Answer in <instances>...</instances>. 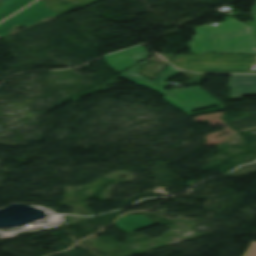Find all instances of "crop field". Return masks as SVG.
<instances>
[{
  "instance_id": "1",
  "label": "crop field",
  "mask_w": 256,
  "mask_h": 256,
  "mask_svg": "<svg viewBox=\"0 0 256 256\" xmlns=\"http://www.w3.org/2000/svg\"><path fill=\"white\" fill-rule=\"evenodd\" d=\"M145 63H147L146 60L122 72L119 76L139 86H147L163 94V98L166 102H168L169 104L173 105L174 107L178 108L179 110L185 112L190 116L226 109L225 106L219 100H217L215 97H213L211 94H209L201 87L172 89L170 91H165L164 88L167 87L165 80L180 73L179 70L175 69L173 66L170 65L164 68L165 70L157 75L158 80L152 82L139 75L140 66ZM216 104H218L220 108L191 113V111L193 110L201 109Z\"/></svg>"
},
{
  "instance_id": "2",
  "label": "crop field",
  "mask_w": 256,
  "mask_h": 256,
  "mask_svg": "<svg viewBox=\"0 0 256 256\" xmlns=\"http://www.w3.org/2000/svg\"><path fill=\"white\" fill-rule=\"evenodd\" d=\"M250 13L254 17L255 23H250L249 26L229 20L215 26H201L195 29L194 41L188 42L191 53H256V37H254V43L250 36V34L256 35V2ZM238 31L241 33L243 52H241L240 48ZM245 32H247V37H245ZM234 44H236L237 52H235ZM228 45H230V51H228ZM195 46L198 49L197 53ZM248 46L249 50H247Z\"/></svg>"
},
{
  "instance_id": "3",
  "label": "crop field",
  "mask_w": 256,
  "mask_h": 256,
  "mask_svg": "<svg viewBox=\"0 0 256 256\" xmlns=\"http://www.w3.org/2000/svg\"><path fill=\"white\" fill-rule=\"evenodd\" d=\"M173 64L199 73H256L250 71L256 64V55H176Z\"/></svg>"
},
{
  "instance_id": "4",
  "label": "crop field",
  "mask_w": 256,
  "mask_h": 256,
  "mask_svg": "<svg viewBox=\"0 0 256 256\" xmlns=\"http://www.w3.org/2000/svg\"><path fill=\"white\" fill-rule=\"evenodd\" d=\"M59 14L46 8V3L43 0L30 5L17 15L5 20L0 24V38L11 34L14 26L25 27L38 23L39 21L57 16Z\"/></svg>"
},
{
  "instance_id": "5",
  "label": "crop field",
  "mask_w": 256,
  "mask_h": 256,
  "mask_svg": "<svg viewBox=\"0 0 256 256\" xmlns=\"http://www.w3.org/2000/svg\"><path fill=\"white\" fill-rule=\"evenodd\" d=\"M228 86L232 87L228 99L256 95V75H231Z\"/></svg>"
},
{
  "instance_id": "6",
  "label": "crop field",
  "mask_w": 256,
  "mask_h": 256,
  "mask_svg": "<svg viewBox=\"0 0 256 256\" xmlns=\"http://www.w3.org/2000/svg\"><path fill=\"white\" fill-rule=\"evenodd\" d=\"M115 225L117 228L127 233L156 225V223L142 215H128L119 218Z\"/></svg>"
},
{
  "instance_id": "7",
  "label": "crop field",
  "mask_w": 256,
  "mask_h": 256,
  "mask_svg": "<svg viewBox=\"0 0 256 256\" xmlns=\"http://www.w3.org/2000/svg\"><path fill=\"white\" fill-rule=\"evenodd\" d=\"M34 0H3L0 4V21Z\"/></svg>"
},
{
  "instance_id": "8",
  "label": "crop field",
  "mask_w": 256,
  "mask_h": 256,
  "mask_svg": "<svg viewBox=\"0 0 256 256\" xmlns=\"http://www.w3.org/2000/svg\"><path fill=\"white\" fill-rule=\"evenodd\" d=\"M119 54H121V55H119ZM115 55H119V56L110 58V57L115 56ZM122 56H124V57H122ZM119 57H122V58L117 59V58H119ZM105 59H106L108 65H109L111 68H113L115 71H121V70L127 69V68H129V67H131V66H133V65L138 64V63L135 62L133 59H131L130 57L126 56L125 54H123V53H121V52L115 53V54H112V55H109V56H105ZM111 59H113L114 61H110ZM122 59H126V60L123 61V62H121L120 60H122ZM116 61H119V62L113 63V62H116ZM127 61L130 62V63H128V64H124V65H126L127 67L120 68V69H116V68H118V67L124 66V65H120V66H116V65H119V64L124 63V62H127ZM111 63H113V64H111ZM114 66H116V67H114Z\"/></svg>"
},
{
  "instance_id": "9",
  "label": "crop field",
  "mask_w": 256,
  "mask_h": 256,
  "mask_svg": "<svg viewBox=\"0 0 256 256\" xmlns=\"http://www.w3.org/2000/svg\"><path fill=\"white\" fill-rule=\"evenodd\" d=\"M122 52L125 53L126 55L130 56L137 62L149 57V54L146 52V50L143 46L133 48L130 50H126V51H122Z\"/></svg>"
},
{
  "instance_id": "10",
  "label": "crop field",
  "mask_w": 256,
  "mask_h": 256,
  "mask_svg": "<svg viewBox=\"0 0 256 256\" xmlns=\"http://www.w3.org/2000/svg\"><path fill=\"white\" fill-rule=\"evenodd\" d=\"M243 256H256V242H252V244Z\"/></svg>"
},
{
  "instance_id": "11",
  "label": "crop field",
  "mask_w": 256,
  "mask_h": 256,
  "mask_svg": "<svg viewBox=\"0 0 256 256\" xmlns=\"http://www.w3.org/2000/svg\"><path fill=\"white\" fill-rule=\"evenodd\" d=\"M1 1V0H0Z\"/></svg>"
}]
</instances>
